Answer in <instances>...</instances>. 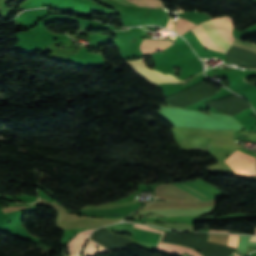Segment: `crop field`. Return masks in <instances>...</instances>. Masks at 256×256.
Returning a JSON list of instances; mask_svg holds the SVG:
<instances>
[{
	"instance_id": "8a807250",
	"label": "crop field",
	"mask_w": 256,
	"mask_h": 256,
	"mask_svg": "<svg viewBox=\"0 0 256 256\" xmlns=\"http://www.w3.org/2000/svg\"><path fill=\"white\" fill-rule=\"evenodd\" d=\"M218 33H220L222 36L234 41V37L231 34V28L233 25V21L231 17H221L217 18L211 21H208ZM207 23V22H206ZM205 24L203 26L198 27V29L204 34V36L213 44L228 49L232 41L222 37L220 34H218L215 29L209 24ZM196 27L191 29L192 32L195 34V36L198 38V40L203 44L205 48L215 50L217 52H223L225 53L227 50L223 48H219L212 43H210L198 30Z\"/></svg>"
},
{
	"instance_id": "ac0d7876",
	"label": "crop field",
	"mask_w": 256,
	"mask_h": 256,
	"mask_svg": "<svg viewBox=\"0 0 256 256\" xmlns=\"http://www.w3.org/2000/svg\"><path fill=\"white\" fill-rule=\"evenodd\" d=\"M155 194L162 199L177 200V201H199V199L182 191L181 189L171 185H158ZM214 205V200H207L201 202H169L159 201L148 205L145 208H194V207H211Z\"/></svg>"
},
{
	"instance_id": "34b2d1b8",
	"label": "crop field",
	"mask_w": 256,
	"mask_h": 256,
	"mask_svg": "<svg viewBox=\"0 0 256 256\" xmlns=\"http://www.w3.org/2000/svg\"><path fill=\"white\" fill-rule=\"evenodd\" d=\"M148 57V56H147ZM146 58V57H144ZM138 59L135 61H126L142 78L146 79L152 85L162 84V83H178L181 82L176 77L172 75H164L155 70L148 69L143 63V59Z\"/></svg>"
},
{
	"instance_id": "412701ff",
	"label": "crop field",
	"mask_w": 256,
	"mask_h": 256,
	"mask_svg": "<svg viewBox=\"0 0 256 256\" xmlns=\"http://www.w3.org/2000/svg\"><path fill=\"white\" fill-rule=\"evenodd\" d=\"M224 162L239 174L256 176L255 158L239 150L231 154Z\"/></svg>"
},
{
	"instance_id": "f4fd0767",
	"label": "crop field",
	"mask_w": 256,
	"mask_h": 256,
	"mask_svg": "<svg viewBox=\"0 0 256 256\" xmlns=\"http://www.w3.org/2000/svg\"><path fill=\"white\" fill-rule=\"evenodd\" d=\"M171 44L173 43L168 40H144L140 45V50L142 54H151L157 50H162Z\"/></svg>"
},
{
	"instance_id": "dd49c442",
	"label": "crop field",
	"mask_w": 256,
	"mask_h": 256,
	"mask_svg": "<svg viewBox=\"0 0 256 256\" xmlns=\"http://www.w3.org/2000/svg\"><path fill=\"white\" fill-rule=\"evenodd\" d=\"M92 230L94 229L78 233L77 236L69 242L67 245L69 256H75L78 253L79 249L82 247V244Z\"/></svg>"
},
{
	"instance_id": "e52e79f7",
	"label": "crop field",
	"mask_w": 256,
	"mask_h": 256,
	"mask_svg": "<svg viewBox=\"0 0 256 256\" xmlns=\"http://www.w3.org/2000/svg\"><path fill=\"white\" fill-rule=\"evenodd\" d=\"M195 25L196 24L190 21H187L181 17H177L175 19L170 18L168 28L182 35Z\"/></svg>"
},
{
	"instance_id": "d8731c3e",
	"label": "crop field",
	"mask_w": 256,
	"mask_h": 256,
	"mask_svg": "<svg viewBox=\"0 0 256 256\" xmlns=\"http://www.w3.org/2000/svg\"><path fill=\"white\" fill-rule=\"evenodd\" d=\"M156 250L164 251V252L175 254V255H179V254L187 252V253L191 254L192 256H201L200 254H198L197 252H195L191 249L180 247V246H175V245H170V244H166V243H161V242L158 243Z\"/></svg>"
},
{
	"instance_id": "5a996713",
	"label": "crop field",
	"mask_w": 256,
	"mask_h": 256,
	"mask_svg": "<svg viewBox=\"0 0 256 256\" xmlns=\"http://www.w3.org/2000/svg\"><path fill=\"white\" fill-rule=\"evenodd\" d=\"M118 1L127 5H135V6L150 7V8H157V7L163 8V9L165 8L159 0H148L149 2L156 5L157 7L152 5L146 0H118Z\"/></svg>"
},
{
	"instance_id": "3316defc",
	"label": "crop field",
	"mask_w": 256,
	"mask_h": 256,
	"mask_svg": "<svg viewBox=\"0 0 256 256\" xmlns=\"http://www.w3.org/2000/svg\"><path fill=\"white\" fill-rule=\"evenodd\" d=\"M97 245H99V247H100L98 250L96 249ZM107 251H111V249L101 245L100 243H98L90 238V240L88 241V243L85 247V250L83 252V256H90L94 253H103V252H107Z\"/></svg>"
},
{
	"instance_id": "28ad6ade",
	"label": "crop field",
	"mask_w": 256,
	"mask_h": 256,
	"mask_svg": "<svg viewBox=\"0 0 256 256\" xmlns=\"http://www.w3.org/2000/svg\"><path fill=\"white\" fill-rule=\"evenodd\" d=\"M145 224L153 225V226H159V227H165V228H170V229H174V230L194 231L193 225H190V224H172V223H167V224L159 225V224H154V223H150V222H145Z\"/></svg>"
},
{
	"instance_id": "d1516ede",
	"label": "crop field",
	"mask_w": 256,
	"mask_h": 256,
	"mask_svg": "<svg viewBox=\"0 0 256 256\" xmlns=\"http://www.w3.org/2000/svg\"><path fill=\"white\" fill-rule=\"evenodd\" d=\"M233 47H237L243 50H247L250 52H253L256 54V45L251 44V43H245V42H239V41H234Z\"/></svg>"
},
{
	"instance_id": "22f410ed",
	"label": "crop field",
	"mask_w": 256,
	"mask_h": 256,
	"mask_svg": "<svg viewBox=\"0 0 256 256\" xmlns=\"http://www.w3.org/2000/svg\"><path fill=\"white\" fill-rule=\"evenodd\" d=\"M238 238H239V236L229 235V241H228V245L227 246L237 249Z\"/></svg>"
},
{
	"instance_id": "cbeb9de0",
	"label": "crop field",
	"mask_w": 256,
	"mask_h": 256,
	"mask_svg": "<svg viewBox=\"0 0 256 256\" xmlns=\"http://www.w3.org/2000/svg\"><path fill=\"white\" fill-rule=\"evenodd\" d=\"M134 227L141 228V229H145V230H150V231H155V232L163 233L159 241H161V239H162V237H163V235H164V232L151 229V228H149L148 226H143V225L134 224Z\"/></svg>"
},
{
	"instance_id": "5142ce71",
	"label": "crop field",
	"mask_w": 256,
	"mask_h": 256,
	"mask_svg": "<svg viewBox=\"0 0 256 256\" xmlns=\"http://www.w3.org/2000/svg\"><path fill=\"white\" fill-rule=\"evenodd\" d=\"M6 216H7V214L0 213V228L5 220Z\"/></svg>"
},
{
	"instance_id": "d9b57169",
	"label": "crop field",
	"mask_w": 256,
	"mask_h": 256,
	"mask_svg": "<svg viewBox=\"0 0 256 256\" xmlns=\"http://www.w3.org/2000/svg\"><path fill=\"white\" fill-rule=\"evenodd\" d=\"M252 241H256V237H250V241L249 242H252Z\"/></svg>"
},
{
	"instance_id": "733c2abd",
	"label": "crop field",
	"mask_w": 256,
	"mask_h": 256,
	"mask_svg": "<svg viewBox=\"0 0 256 256\" xmlns=\"http://www.w3.org/2000/svg\"><path fill=\"white\" fill-rule=\"evenodd\" d=\"M209 232H223V231H213V230H209ZM228 233V232H225Z\"/></svg>"
},
{
	"instance_id": "4a817a6b",
	"label": "crop field",
	"mask_w": 256,
	"mask_h": 256,
	"mask_svg": "<svg viewBox=\"0 0 256 256\" xmlns=\"http://www.w3.org/2000/svg\"><path fill=\"white\" fill-rule=\"evenodd\" d=\"M255 235H256V228H255Z\"/></svg>"
}]
</instances>
